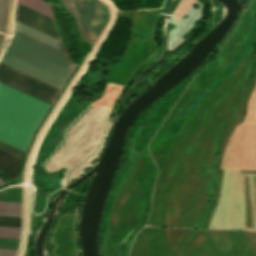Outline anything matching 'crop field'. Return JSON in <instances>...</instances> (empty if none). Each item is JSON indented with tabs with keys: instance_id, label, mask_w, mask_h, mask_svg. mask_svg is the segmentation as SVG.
Returning a JSON list of instances; mask_svg holds the SVG:
<instances>
[{
	"instance_id": "28ad6ade",
	"label": "crop field",
	"mask_w": 256,
	"mask_h": 256,
	"mask_svg": "<svg viewBox=\"0 0 256 256\" xmlns=\"http://www.w3.org/2000/svg\"><path fill=\"white\" fill-rule=\"evenodd\" d=\"M17 250L0 249V256H15Z\"/></svg>"
},
{
	"instance_id": "d1516ede",
	"label": "crop field",
	"mask_w": 256,
	"mask_h": 256,
	"mask_svg": "<svg viewBox=\"0 0 256 256\" xmlns=\"http://www.w3.org/2000/svg\"><path fill=\"white\" fill-rule=\"evenodd\" d=\"M10 37L5 36L2 40H0V55L3 52L5 46L7 45Z\"/></svg>"
},
{
	"instance_id": "5a996713",
	"label": "crop field",
	"mask_w": 256,
	"mask_h": 256,
	"mask_svg": "<svg viewBox=\"0 0 256 256\" xmlns=\"http://www.w3.org/2000/svg\"><path fill=\"white\" fill-rule=\"evenodd\" d=\"M20 231H21V228L1 227L0 226V237L19 238L20 237Z\"/></svg>"
},
{
	"instance_id": "3316defc",
	"label": "crop field",
	"mask_w": 256,
	"mask_h": 256,
	"mask_svg": "<svg viewBox=\"0 0 256 256\" xmlns=\"http://www.w3.org/2000/svg\"><path fill=\"white\" fill-rule=\"evenodd\" d=\"M19 239L0 238V248L17 249Z\"/></svg>"
},
{
	"instance_id": "e52e79f7",
	"label": "crop field",
	"mask_w": 256,
	"mask_h": 256,
	"mask_svg": "<svg viewBox=\"0 0 256 256\" xmlns=\"http://www.w3.org/2000/svg\"><path fill=\"white\" fill-rule=\"evenodd\" d=\"M15 0H0V32L11 35Z\"/></svg>"
},
{
	"instance_id": "412701ff",
	"label": "crop field",
	"mask_w": 256,
	"mask_h": 256,
	"mask_svg": "<svg viewBox=\"0 0 256 256\" xmlns=\"http://www.w3.org/2000/svg\"><path fill=\"white\" fill-rule=\"evenodd\" d=\"M15 20L61 41L56 22L54 20L18 2L16 6Z\"/></svg>"
},
{
	"instance_id": "d8731c3e",
	"label": "crop field",
	"mask_w": 256,
	"mask_h": 256,
	"mask_svg": "<svg viewBox=\"0 0 256 256\" xmlns=\"http://www.w3.org/2000/svg\"><path fill=\"white\" fill-rule=\"evenodd\" d=\"M17 1L54 18L51 10V6L46 2H44L43 0H17Z\"/></svg>"
},
{
	"instance_id": "dd49c442",
	"label": "crop field",
	"mask_w": 256,
	"mask_h": 256,
	"mask_svg": "<svg viewBox=\"0 0 256 256\" xmlns=\"http://www.w3.org/2000/svg\"><path fill=\"white\" fill-rule=\"evenodd\" d=\"M0 216L21 218V204L0 202ZM1 217H0L1 226L21 227V219L1 218Z\"/></svg>"
},
{
	"instance_id": "34b2d1b8",
	"label": "crop field",
	"mask_w": 256,
	"mask_h": 256,
	"mask_svg": "<svg viewBox=\"0 0 256 256\" xmlns=\"http://www.w3.org/2000/svg\"><path fill=\"white\" fill-rule=\"evenodd\" d=\"M0 82L37 97L50 104L60 89L0 62Z\"/></svg>"
},
{
	"instance_id": "8a807250",
	"label": "crop field",
	"mask_w": 256,
	"mask_h": 256,
	"mask_svg": "<svg viewBox=\"0 0 256 256\" xmlns=\"http://www.w3.org/2000/svg\"><path fill=\"white\" fill-rule=\"evenodd\" d=\"M1 60L60 89L76 67L68 61L61 42L16 21L13 38Z\"/></svg>"
},
{
	"instance_id": "ac0d7876",
	"label": "crop field",
	"mask_w": 256,
	"mask_h": 256,
	"mask_svg": "<svg viewBox=\"0 0 256 256\" xmlns=\"http://www.w3.org/2000/svg\"><path fill=\"white\" fill-rule=\"evenodd\" d=\"M50 104L0 83V140L26 151Z\"/></svg>"
},
{
	"instance_id": "22f410ed",
	"label": "crop field",
	"mask_w": 256,
	"mask_h": 256,
	"mask_svg": "<svg viewBox=\"0 0 256 256\" xmlns=\"http://www.w3.org/2000/svg\"><path fill=\"white\" fill-rule=\"evenodd\" d=\"M3 184H5V183H4L3 180L0 178V186L3 185Z\"/></svg>"
},
{
	"instance_id": "f4fd0767",
	"label": "crop field",
	"mask_w": 256,
	"mask_h": 256,
	"mask_svg": "<svg viewBox=\"0 0 256 256\" xmlns=\"http://www.w3.org/2000/svg\"><path fill=\"white\" fill-rule=\"evenodd\" d=\"M24 154L0 142V170L13 179L17 176L21 168Z\"/></svg>"
}]
</instances>
